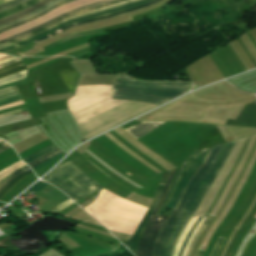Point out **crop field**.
I'll use <instances>...</instances> for the list:
<instances>
[{"instance_id":"obj_1","label":"crop field","mask_w":256,"mask_h":256,"mask_svg":"<svg viewBox=\"0 0 256 256\" xmlns=\"http://www.w3.org/2000/svg\"><path fill=\"white\" fill-rule=\"evenodd\" d=\"M235 143L236 141L212 148L207 160L190 181L177 208L158 236L154 256H172L173 248L184 226L215 181Z\"/></svg>"},{"instance_id":"obj_2","label":"crop field","mask_w":256,"mask_h":256,"mask_svg":"<svg viewBox=\"0 0 256 256\" xmlns=\"http://www.w3.org/2000/svg\"><path fill=\"white\" fill-rule=\"evenodd\" d=\"M85 209L109 229L133 235L148 207L103 189L96 202Z\"/></svg>"},{"instance_id":"obj_3","label":"crop field","mask_w":256,"mask_h":256,"mask_svg":"<svg viewBox=\"0 0 256 256\" xmlns=\"http://www.w3.org/2000/svg\"><path fill=\"white\" fill-rule=\"evenodd\" d=\"M192 85L191 83L181 82H136L120 74L112 88L115 91L113 99L161 105L181 96L180 94L187 92Z\"/></svg>"},{"instance_id":"obj_4","label":"crop field","mask_w":256,"mask_h":256,"mask_svg":"<svg viewBox=\"0 0 256 256\" xmlns=\"http://www.w3.org/2000/svg\"><path fill=\"white\" fill-rule=\"evenodd\" d=\"M155 107L157 106L126 101L78 125L85 140H88Z\"/></svg>"},{"instance_id":"obj_5","label":"crop field","mask_w":256,"mask_h":256,"mask_svg":"<svg viewBox=\"0 0 256 256\" xmlns=\"http://www.w3.org/2000/svg\"><path fill=\"white\" fill-rule=\"evenodd\" d=\"M43 179L59 187L76 202L102 188L71 161L55 169Z\"/></svg>"},{"instance_id":"obj_6","label":"crop field","mask_w":256,"mask_h":256,"mask_svg":"<svg viewBox=\"0 0 256 256\" xmlns=\"http://www.w3.org/2000/svg\"><path fill=\"white\" fill-rule=\"evenodd\" d=\"M211 148L197 151L193 156H191L187 160L186 164L183 167L181 175L177 181V184L172 193V196L167 204V207L165 209H163L161 215H163V213L166 211L167 208L175 209L188 182L193 177V175L199 170L201 165L204 163Z\"/></svg>"},{"instance_id":"obj_7","label":"crop field","mask_w":256,"mask_h":256,"mask_svg":"<svg viewBox=\"0 0 256 256\" xmlns=\"http://www.w3.org/2000/svg\"><path fill=\"white\" fill-rule=\"evenodd\" d=\"M175 170H173L169 176L167 187H166V192L161 200V203L157 207L156 211L150 218V220L145 228L144 235L140 242L137 256H152L153 245L156 240V237H157L160 229L162 228L163 224L165 223V221L168 218L166 216H159V215H155V214L158 211V209L160 208V206L162 205V203L167 195L168 189L172 183V179H173Z\"/></svg>"},{"instance_id":"obj_8","label":"crop field","mask_w":256,"mask_h":256,"mask_svg":"<svg viewBox=\"0 0 256 256\" xmlns=\"http://www.w3.org/2000/svg\"><path fill=\"white\" fill-rule=\"evenodd\" d=\"M150 1H152V0H138V1H135V2H132V3H129V4L121 5V6L111 8V9H108V10H105V11H101V12L86 15V16H83V17H80V18H77V19L66 21V22L58 25L57 27H55V28H53V29H51L47 32H44V33H42V34H40L36 37L30 38V39H28L24 42L19 43V44H16V45L10 46L8 48L2 49V50H0V53L8 52V51H11L15 48L27 45V44L33 42L34 40H38V39H40L44 36H47V35L55 32V31H57L58 29H60L64 26L70 25L72 23L81 22V21H85V20H88V19H92V18L104 16V15L114 14V13H117L119 11H123V10L129 9V8L140 6V5L145 4L147 2H150Z\"/></svg>"},{"instance_id":"obj_9","label":"crop field","mask_w":256,"mask_h":256,"mask_svg":"<svg viewBox=\"0 0 256 256\" xmlns=\"http://www.w3.org/2000/svg\"><path fill=\"white\" fill-rule=\"evenodd\" d=\"M98 1H101V0H77V1H74L72 3H69L63 7H60L52 12H50L49 14L35 20V21H32L30 23H27L25 25H22L20 27H17L13 30H10L8 32H5L3 34L0 35V40L2 39H5V38H8V37H11L13 35H16V34H19V33H22V32H25L35 26H38L66 11H69V10H72V9H76V8H79V7H82V6H85V5H88V4H92V3H95V2H98Z\"/></svg>"},{"instance_id":"obj_10","label":"crop field","mask_w":256,"mask_h":256,"mask_svg":"<svg viewBox=\"0 0 256 256\" xmlns=\"http://www.w3.org/2000/svg\"><path fill=\"white\" fill-rule=\"evenodd\" d=\"M165 186L166 185H160L158 188V191L154 197V200L150 206L149 211L147 212L145 218L143 219V221L140 223V225L138 226V229L134 235V237L125 245L135 254L137 253V249H138V245L142 236V233L144 231V228L146 226L147 221L149 220V218L151 217V215L153 214V212L155 211L156 207L158 206L164 192H165Z\"/></svg>"},{"instance_id":"obj_11","label":"crop field","mask_w":256,"mask_h":256,"mask_svg":"<svg viewBox=\"0 0 256 256\" xmlns=\"http://www.w3.org/2000/svg\"><path fill=\"white\" fill-rule=\"evenodd\" d=\"M22 100L23 99L16 86L0 91V106H5Z\"/></svg>"},{"instance_id":"obj_12","label":"crop field","mask_w":256,"mask_h":256,"mask_svg":"<svg viewBox=\"0 0 256 256\" xmlns=\"http://www.w3.org/2000/svg\"><path fill=\"white\" fill-rule=\"evenodd\" d=\"M158 1H160V0L153 1V2H151V3H149V4H147V5L140 6V7L135 8V9L127 10V11H124V12H122V13H118V14H114V15H110V16H105V17H100V18L88 20V21H85V22H82V23H79V24H75V25H70V26L65 27V28H63V29H60L59 31L55 32V33L52 34V35H49V36H47V37H45V38H42V39L38 40L37 43H39V42H41V41H43V40H45V39H47V38H49V37H51V36L57 34V33H59V32H61V31L65 30V29H67V28H70V27H73V26H77V25L86 24V23H91V22H96V21H101V20L113 18V17L119 16V15H122V14H125V13H128V12H132V11H135V10H138V9H141V8H144V7H147V6H149V5L153 4V3H156V2H158ZM153 5H154V4H153ZM151 6H152V5H151ZM149 7H150V6H149ZM147 8H148V7H147ZM70 29H71V28H70ZM35 43H36V42H35ZM37 43H36V44H37Z\"/></svg>"},{"instance_id":"obj_13","label":"crop field","mask_w":256,"mask_h":256,"mask_svg":"<svg viewBox=\"0 0 256 256\" xmlns=\"http://www.w3.org/2000/svg\"><path fill=\"white\" fill-rule=\"evenodd\" d=\"M123 1H126V0L114 1V2H111V3H107V4H104V5H101V6H97V7H94V8H90V9H87V10H84V11H81V12H78V13H76V14L68 15V16H66V17H64V18H62V19H60V20H58V21H56V22H54V23H52V24L46 26V27H43V28H41V29H39V30L33 32V33L27 34V35H25V36H23V37L16 38V39L11 40V41H9V42L3 44V45H0V47L6 46V45H8V44H10V43H12V42H15V41H17V40L23 39V38L28 37V36H30V35H32V34H35V33L39 32V31H41V30H43V29H45V28H47V27H49V26H51V25H53V24L59 22V21H62V20H64V19H67V18H69V17L76 16V15L83 14V13H87V12H90V11H93V10H97V9H100V8H104V7H107V6H109V5H112V4H115V3H119V2H123Z\"/></svg>"},{"instance_id":"obj_14","label":"crop field","mask_w":256,"mask_h":256,"mask_svg":"<svg viewBox=\"0 0 256 256\" xmlns=\"http://www.w3.org/2000/svg\"><path fill=\"white\" fill-rule=\"evenodd\" d=\"M52 1L53 0H43V1L39 2L38 4H36L35 6L29 8L27 10H24V11H22V12L16 14V15L3 18V19L0 20V25L8 23V22L16 20V19H19V18H22V17L30 14L31 12L36 11V10L42 8L43 6L47 5L48 3L52 2Z\"/></svg>"},{"instance_id":"obj_15","label":"crop field","mask_w":256,"mask_h":256,"mask_svg":"<svg viewBox=\"0 0 256 256\" xmlns=\"http://www.w3.org/2000/svg\"><path fill=\"white\" fill-rule=\"evenodd\" d=\"M161 124H139L135 127L127 128L131 133H133L138 138L144 136L145 134L155 130Z\"/></svg>"},{"instance_id":"obj_16","label":"crop field","mask_w":256,"mask_h":256,"mask_svg":"<svg viewBox=\"0 0 256 256\" xmlns=\"http://www.w3.org/2000/svg\"><path fill=\"white\" fill-rule=\"evenodd\" d=\"M26 69H27V67L25 66L23 61L6 66V67L0 69V79L3 77H6L8 75H11V74L19 73Z\"/></svg>"},{"instance_id":"obj_17","label":"crop field","mask_w":256,"mask_h":256,"mask_svg":"<svg viewBox=\"0 0 256 256\" xmlns=\"http://www.w3.org/2000/svg\"><path fill=\"white\" fill-rule=\"evenodd\" d=\"M213 219V217L208 216V218L205 220V222L202 224V226L199 228V230L197 231L191 246L188 250L187 256H192L194 248L197 244V242L199 241L200 237L202 236V234L204 233L205 229L207 228V226L209 225L210 221Z\"/></svg>"},{"instance_id":"obj_18","label":"crop field","mask_w":256,"mask_h":256,"mask_svg":"<svg viewBox=\"0 0 256 256\" xmlns=\"http://www.w3.org/2000/svg\"><path fill=\"white\" fill-rule=\"evenodd\" d=\"M71 1H74V0H67V1H65V2L59 3V4H57V5H55V6L51 7V8H49V9L43 11V12H41V13H39L38 15H36V16H34V17H32V18H29V19H27V20H25V21H22V22H20V23H17V24H15V25H12V26H10V27H7V28H4V29L0 30V33L5 32V31H8V30H10V29H13V28H15V27H17V26H20V25H22V24H25V23H27V22H30V21H32V20H34V19H36V18H38V17H40V16H42V15H44V14H46V13L52 11V10H54V9H56V8H58V7H60V6L64 5V4H66V3H68V2H71Z\"/></svg>"},{"instance_id":"obj_19","label":"crop field","mask_w":256,"mask_h":256,"mask_svg":"<svg viewBox=\"0 0 256 256\" xmlns=\"http://www.w3.org/2000/svg\"><path fill=\"white\" fill-rule=\"evenodd\" d=\"M110 1H114V0H104V1H101V2H98V3H95V4H92V5H89V6H85V7H82V8L76 9V10H73V11H69V12H67V13H65V14H63V15H61V16H59V17H57V18H55V19H53V20H51V21H49V22H47V23H45V24H43V25H41V26H38V27H36V28H34V29L28 31V32H25V33L16 35V36H14V37H11V38L2 40V41H0V44H1V43H4V42H6V41H9V40H11V39H13V38H16V37L22 36V35H24V34H27V33L31 32V31L35 30V29L41 28V27H43V26H45V25H47V24H49V23H51V22H53V21H55V20H57V19H59V18H61V17H63V16H65V15H68V14H71V13H73V12H76V11H79V10H82V9H85V8H87V7H90V6H94V5H97V4H101V3H105V2H110Z\"/></svg>"},{"instance_id":"obj_20","label":"crop field","mask_w":256,"mask_h":256,"mask_svg":"<svg viewBox=\"0 0 256 256\" xmlns=\"http://www.w3.org/2000/svg\"><path fill=\"white\" fill-rule=\"evenodd\" d=\"M39 1H41V0H31V1L21 5L19 7L10 9V10L5 11V12H2V13H0V18L9 16V15H13V14H15V13L21 11V10H24L26 8H29V7L33 6L34 4L38 3Z\"/></svg>"},{"instance_id":"obj_21","label":"crop field","mask_w":256,"mask_h":256,"mask_svg":"<svg viewBox=\"0 0 256 256\" xmlns=\"http://www.w3.org/2000/svg\"><path fill=\"white\" fill-rule=\"evenodd\" d=\"M55 148H57V147L52 144V145H50V146L44 148L43 150H41V151H39V152H37V153H35V154H33V155H31V156H29V157L23 159V161L28 164V163H30L31 161L35 160L36 158H38V157H40V156H42V155L48 153L49 151H51V150H53V149H55Z\"/></svg>"},{"instance_id":"obj_22","label":"crop field","mask_w":256,"mask_h":256,"mask_svg":"<svg viewBox=\"0 0 256 256\" xmlns=\"http://www.w3.org/2000/svg\"><path fill=\"white\" fill-rule=\"evenodd\" d=\"M27 75V70L24 72H21L19 74L16 75H12V76H8L6 78H3L0 80V85H4L13 81H17V80H21V79H25Z\"/></svg>"},{"instance_id":"obj_23","label":"crop field","mask_w":256,"mask_h":256,"mask_svg":"<svg viewBox=\"0 0 256 256\" xmlns=\"http://www.w3.org/2000/svg\"><path fill=\"white\" fill-rule=\"evenodd\" d=\"M62 1H65V0H56V1H54V2H52V3H50V4H48L47 6L43 7L42 9H40V10H38V11H36V12H34V13H32V14H30V15H28V16L22 18V19H19V20L10 22V23H8V24H6V25L0 27V29H2V28H4V27H7V26H9V25L15 24V23H17V22H20V21H22V20H24V19H27V18H29V17H31V16H33V15H35V14H37V13L43 11V10L49 8L50 6H52V5L56 4V3L62 2Z\"/></svg>"},{"instance_id":"obj_24","label":"crop field","mask_w":256,"mask_h":256,"mask_svg":"<svg viewBox=\"0 0 256 256\" xmlns=\"http://www.w3.org/2000/svg\"><path fill=\"white\" fill-rule=\"evenodd\" d=\"M24 165H26V164L23 163L22 161H20V162H18L16 164L6 168L5 170L0 172V179L3 178L4 176H6L7 174L13 172L15 169H18V168H20V167H22Z\"/></svg>"},{"instance_id":"obj_25","label":"crop field","mask_w":256,"mask_h":256,"mask_svg":"<svg viewBox=\"0 0 256 256\" xmlns=\"http://www.w3.org/2000/svg\"><path fill=\"white\" fill-rule=\"evenodd\" d=\"M26 1H28V0H14L12 2L0 5V12L10 9V8H13V7H16V6H19L23 3H25Z\"/></svg>"},{"instance_id":"obj_26","label":"crop field","mask_w":256,"mask_h":256,"mask_svg":"<svg viewBox=\"0 0 256 256\" xmlns=\"http://www.w3.org/2000/svg\"><path fill=\"white\" fill-rule=\"evenodd\" d=\"M31 173H33L32 170H30V171H28L27 173H25V174H23V175L17 177V178L14 179L11 183H9V184L7 185V187L3 190V192L1 191L2 193L0 194V199L2 198V196H3L18 180H20L21 178H23V177H25V176H27V175H29V174H31Z\"/></svg>"},{"instance_id":"obj_27","label":"crop field","mask_w":256,"mask_h":256,"mask_svg":"<svg viewBox=\"0 0 256 256\" xmlns=\"http://www.w3.org/2000/svg\"><path fill=\"white\" fill-rule=\"evenodd\" d=\"M132 1H135V0H131V1H127V2H123V3H120V4H117V5H114V6H118V5H121V4H125V3H128V2H132ZM114 6H111V7H114ZM111 7H108V8H111ZM108 8H104V9H108ZM104 9H100V10H97V11H94V12H98V11H101V10H104ZM94 12H90V13H94ZM90 13H87V14H90ZM83 15H86V14H83ZM80 16H82V15H79V16H76V17H80ZM76 17H72V18H76ZM72 18H69V19H72ZM69 19H67V20H69ZM65 21V20H64ZM63 22V21H62ZM61 23V22H60ZM59 24V23H58ZM58 24H56V25H58ZM56 25H54V26H56ZM53 26V27H54ZM52 28V27H51ZM50 29V28H49ZM48 30V29H47ZM46 31V30H45ZM44 32V31H43ZM40 33H42V32H40ZM40 33H37V34H35V35H38V34H40ZM35 35H32V36H30V37H33V36H35ZM30 37H28V38H30ZM28 38H25V39H23V40H20V41H18V42H21V41H24V40H26V39H28ZM18 42H16V43H18ZM16 43H14V44H16ZM13 45V44H12ZM10 46V45H9ZM7 47V46H6ZM2 48H5V47H2ZM2 48H0V49H2Z\"/></svg>"},{"instance_id":"obj_28","label":"crop field","mask_w":256,"mask_h":256,"mask_svg":"<svg viewBox=\"0 0 256 256\" xmlns=\"http://www.w3.org/2000/svg\"><path fill=\"white\" fill-rule=\"evenodd\" d=\"M224 239L225 238L219 237V239H218V241H217V243H216V245H215V247H214L210 256H217V254H218V252H219V250L222 246V243H223Z\"/></svg>"},{"instance_id":"obj_29","label":"crop field","mask_w":256,"mask_h":256,"mask_svg":"<svg viewBox=\"0 0 256 256\" xmlns=\"http://www.w3.org/2000/svg\"><path fill=\"white\" fill-rule=\"evenodd\" d=\"M48 183L45 182H41L39 181L38 183H36L32 188H30V190L32 191H40L41 189L45 188L46 186H48Z\"/></svg>"},{"instance_id":"obj_30","label":"crop field","mask_w":256,"mask_h":256,"mask_svg":"<svg viewBox=\"0 0 256 256\" xmlns=\"http://www.w3.org/2000/svg\"><path fill=\"white\" fill-rule=\"evenodd\" d=\"M63 156H65V155L62 153V154H60V155H58V156L54 157L53 159H51V160H49V161H47V162L43 163L42 165H40V166H38V167L34 168V171H36V170H39V169L43 168L45 165H47V164H49V163H51V162H53V161H55V160H57V159H59V158L63 157Z\"/></svg>"},{"instance_id":"obj_31","label":"crop field","mask_w":256,"mask_h":256,"mask_svg":"<svg viewBox=\"0 0 256 256\" xmlns=\"http://www.w3.org/2000/svg\"><path fill=\"white\" fill-rule=\"evenodd\" d=\"M26 168H28L27 165L24 166V167H22V168H20V169H18V170L15 171V172L11 173L10 175L6 176L5 178H3V179L0 181V186H1L5 181H7L10 177L14 176L16 173H18L19 171H21V170H23V169H26Z\"/></svg>"},{"instance_id":"obj_32","label":"crop field","mask_w":256,"mask_h":256,"mask_svg":"<svg viewBox=\"0 0 256 256\" xmlns=\"http://www.w3.org/2000/svg\"><path fill=\"white\" fill-rule=\"evenodd\" d=\"M202 218H203V215H201V217L199 218V220L196 222V224H195L194 227L192 228V230H191V232H190V234H189V236H188V238H187V240H186V242H185V244H184V246H183V248H182V251H181L180 256H182V254H183V252H184V249H185V246H186V244H187V241H188L189 237L191 236L192 232L194 231V229L196 228V226L198 225V223L201 221Z\"/></svg>"},{"instance_id":"obj_33","label":"crop field","mask_w":256,"mask_h":256,"mask_svg":"<svg viewBox=\"0 0 256 256\" xmlns=\"http://www.w3.org/2000/svg\"><path fill=\"white\" fill-rule=\"evenodd\" d=\"M58 151H60V150H59V149H57V150H55V151H53V152H51V153H48V154L44 155L43 157L39 158L38 160H36V161H34V162H32V163L28 164V165H30V166H31V165H33V164H35V163H37V162H39V161L43 160L44 158H46V157H48V156H50V155H52V154H54V153L58 152Z\"/></svg>"},{"instance_id":"obj_34","label":"crop field","mask_w":256,"mask_h":256,"mask_svg":"<svg viewBox=\"0 0 256 256\" xmlns=\"http://www.w3.org/2000/svg\"><path fill=\"white\" fill-rule=\"evenodd\" d=\"M9 148H11V146L8 143H6L5 141L0 143V153Z\"/></svg>"},{"instance_id":"obj_35","label":"crop field","mask_w":256,"mask_h":256,"mask_svg":"<svg viewBox=\"0 0 256 256\" xmlns=\"http://www.w3.org/2000/svg\"><path fill=\"white\" fill-rule=\"evenodd\" d=\"M23 172H25V170L22 171V172H20V173H18V174L15 175L14 177L10 178L7 182H5V183L0 187V193H1V191L6 187V185H7L9 182H11L15 177H17L18 175L22 174Z\"/></svg>"},{"instance_id":"obj_36","label":"crop field","mask_w":256,"mask_h":256,"mask_svg":"<svg viewBox=\"0 0 256 256\" xmlns=\"http://www.w3.org/2000/svg\"><path fill=\"white\" fill-rule=\"evenodd\" d=\"M20 104H24V101L18 102V103H15V104H11V105H7L5 107H0V110L7 109V108H10V107H14V106H17V105H20Z\"/></svg>"},{"instance_id":"obj_37","label":"crop field","mask_w":256,"mask_h":256,"mask_svg":"<svg viewBox=\"0 0 256 256\" xmlns=\"http://www.w3.org/2000/svg\"><path fill=\"white\" fill-rule=\"evenodd\" d=\"M59 153H61V151H60V152H58V153H56V154H54L53 156H51V157H49V158H47V159L43 160V161H41V162H39V163H37V164H35V165L31 166V167H32V168H34V167H36V166H38V165L42 164V163H43V162H45L46 160H48V159H50V158H52V157L56 156V155H57V154H59Z\"/></svg>"},{"instance_id":"obj_38","label":"crop field","mask_w":256,"mask_h":256,"mask_svg":"<svg viewBox=\"0 0 256 256\" xmlns=\"http://www.w3.org/2000/svg\"><path fill=\"white\" fill-rule=\"evenodd\" d=\"M18 61H21V59L19 58V59H17V60H14V61L8 62V63H6V64H3V65H1V66H0V68L4 67V66H6V65H9V64H12V63L18 62Z\"/></svg>"},{"instance_id":"obj_39","label":"crop field","mask_w":256,"mask_h":256,"mask_svg":"<svg viewBox=\"0 0 256 256\" xmlns=\"http://www.w3.org/2000/svg\"><path fill=\"white\" fill-rule=\"evenodd\" d=\"M13 59H16V57H13V58H11V59H7V60H4V61H1V62H0V65L3 64V63H5V62L11 61V60H13Z\"/></svg>"},{"instance_id":"obj_40","label":"crop field","mask_w":256,"mask_h":256,"mask_svg":"<svg viewBox=\"0 0 256 256\" xmlns=\"http://www.w3.org/2000/svg\"><path fill=\"white\" fill-rule=\"evenodd\" d=\"M11 0H0V4H3V3H6V2H9Z\"/></svg>"},{"instance_id":"obj_41","label":"crop field","mask_w":256,"mask_h":256,"mask_svg":"<svg viewBox=\"0 0 256 256\" xmlns=\"http://www.w3.org/2000/svg\"><path fill=\"white\" fill-rule=\"evenodd\" d=\"M7 58H11V56L4 57V58L0 59V61L4 60V59H7Z\"/></svg>"},{"instance_id":"obj_42","label":"crop field","mask_w":256,"mask_h":256,"mask_svg":"<svg viewBox=\"0 0 256 256\" xmlns=\"http://www.w3.org/2000/svg\"><path fill=\"white\" fill-rule=\"evenodd\" d=\"M202 254H203V252H202V251H200L198 256H202Z\"/></svg>"},{"instance_id":"obj_43","label":"crop field","mask_w":256,"mask_h":256,"mask_svg":"<svg viewBox=\"0 0 256 256\" xmlns=\"http://www.w3.org/2000/svg\"><path fill=\"white\" fill-rule=\"evenodd\" d=\"M5 55H0V58L4 57Z\"/></svg>"},{"instance_id":"obj_44","label":"crop field","mask_w":256,"mask_h":256,"mask_svg":"<svg viewBox=\"0 0 256 256\" xmlns=\"http://www.w3.org/2000/svg\"><path fill=\"white\" fill-rule=\"evenodd\" d=\"M3 141V140H0V142Z\"/></svg>"}]
</instances>
